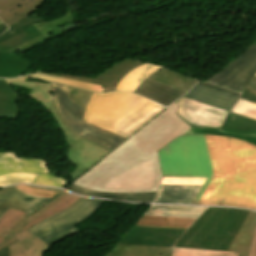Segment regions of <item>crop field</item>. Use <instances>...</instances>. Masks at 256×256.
<instances>
[{
    "instance_id": "730fd06b",
    "label": "crop field",
    "mask_w": 256,
    "mask_h": 256,
    "mask_svg": "<svg viewBox=\"0 0 256 256\" xmlns=\"http://www.w3.org/2000/svg\"><path fill=\"white\" fill-rule=\"evenodd\" d=\"M149 78L183 93L188 92L197 82V80L195 79L172 72L164 68H161L156 72L152 73Z\"/></svg>"
},
{
    "instance_id": "750c4746",
    "label": "crop field",
    "mask_w": 256,
    "mask_h": 256,
    "mask_svg": "<svg viewBox=\"0 0 256 256\" xmlns=\"http://www.w3.org/2000/svg\"><path fill=\"white\" fill-rule=\"evenodd\" d=\"M159 69V67L151 65H141L134 70L127 73L116 85L114 91L123 90L134 92L138 85L143 81L144 78L150 76V74Z\"/></svg>"
},
{
    "instance_id": "b80d0937",
    "label": "crop field",
    "mask_w": 256,
    "mask_h": 256,
    "mask_svg": "<svg viewBox=\"0 0 256 256\" xmlns=\"http://www.w3.org/2000/svg\"><path fill=\"white\" fill-rule=\"evenodd\" d=\"M34 174H12L0 176V187L16 183H31Z\"/></svg>"
},
{
    "instance_id": "dd49c442",
    "label": "crop field",
    "mask_w": 256,
    "mask_h": 256,
    "mask_svg": "<svg viewBox=\"0 0 256 256\" xmlns=\"http://www.w3.org/2000/svg\"><path fill=\"white\" fill-rule=\"evenodd\" d=\"M103 202L101 199L81 197L69 208L26 230L50 246L79 232L72 226L89 217Z\"/></svg>"
},
{
    "instance_id": "c035e120",
    "label": "crop field",
    "mask_w": 256,
    "mask_h": 256,
    "mask_svg": "<svg viewBox=\"0 0 256 256\" xmlns=\"http://www.w3.org/2000/svg\"><path fill=\"white\" fill-rule=\"evenodd\" d=\"M44 105L46 108H48L52 115L54 116V118L56 119L57 123L59 124V126L61 127L64 135H76V136H80L78 134H76L61 118L60 114L58 113L55 105H54V99H52L51 101L42 104Z\"/></svg>"
},
{
    "instance_id": "89e229c0",
    "label": "crop field",
    "mask_w": 256,
    "mask_h": 256,
    "mask_svg": "<svg viewBox=\"0 0 256 256\" xmlns=\"http://www.w3.org/2000/svg\"><path fill=\"white\" fill-rule=\"evenodd\" d=\"M27 78V76H23V77H21V78H18V79H9V80H7L8 82H12V81H20V80H24V79H26Z\"/></svg>"
},
{
    "instance_id": "0bd39190",
    "label": "crop field",
    "mask_w": 256,
    "mask_h": 256,
    "mask_svg": "<svg viewBox=\"0 0 256 256\" xmlns=\"http://www.w3.org/2000/svg\"><path fill=\"white\" fill-rule=\"evenodd\" d=\"M231 112L256 120V104L239 99Z\"/></svg>"
},
{
    "instance_id": "214f88e0",
    "label": "crop field",
    "mask_w": 256,
    "mask_h": 256,
    "mask_svg": "<svg viewBox=\"0 0 256 256\" xmlns=\"http://www.w3.org/2000/svg\"><path fill=\"white\" fill-rule=\"evenodd\" d=\"M141 64H143V63H139V62H135V61H131V60L127 59V60L105 70L104 72H102L101 74H99L98 76L93 77V78L61 75V74H48V73H42V72H37V73L48 74V75H53V76H58V77H64V78L99 84L105 88L104 92H109V91H113L115 85L127 72H129L130 70H132L133 68H135Z\"/></svg>"
},
{
    "instance_id": "412701ff",
    "label": "crop field",
    "mask_w": 256,
    "mask_h": 256,
    "mask_svg": "<svg viewBox=\"0 0 256 256\" xmlns=\"http://www.w3.org/2000/svg\"><path fill=\"white\" fill-rule=\"evenodd\" d=\"M163 177H208L193 204H198L212 178L209 154L204 135H182L157 152Z\"/></svg>"
},
{
    "instance_id": "4a817a6b",
    "label": "crop field",
    "mask_w": 256,
    "mask_h": 256,
    "mask_svg": "<svg viewBox=\"0 0 256 256\" xmlns=\"http://www.w3.org/2000/svg\"><path fill=\"white\" fill-rule=\"evenodd\" d=\"M240 94L199 82L185 97L230 111Z\"/></svg>"
},
{
    "instance_id": "5d738f31",
    "label": "crop field",
    "mask_w": 256,
    "mask_h": 256,
    "mask_svg": "<svg viewBox=\"0 0 256 256\" xmlns=\"http://www.w3.org/2000/svg\"><path fill=\"white\" fill-rule=\"evenodd\" d=\"M249 256H256V228L254 231L253 242H252Z\"/></svg>"
},
{
    "instance_id": "8a807250",
    "label": "crop field",
    "mask_w": 256,
    "mask_h": 256,
    "mask_svg": "<svg viewBox=\"0 0 256 256\" xmlns=\"http://www.w3.org/2000/svg\"><path fill=\"white\" fill-rule=\"evenodd\" d=\"M172 104L74 183L104 192L156 191L162 177L156 151L192 126Z\"/></svg>"
},
{
    "instance_id": "73cf0c24",
    "label": "crop field",
    "mask_w": 256,
    "mask_h": 256,
    "mask_svg": "<svg viewBox=\"0 0 256 256\" xmlns=\"http://www.w3.org/2000/svg\"><path fill=\"white\" fill-rule=\"evenodd\" d=\"M52 84H53V83H52ZM53 85L59 86V87H61V88L65 89V90H67V91H69V92H71V90H72V88H71V87H66V86L57 85V84H53Z\"/></svg>"
},
{
    "instance_id": "34b2d1b8",
    "label": "crop field",
    "mask_w": 256,
    "mask_h": 256,
    "mask_svg": "<svg viewBox=\"0 0 256 256\" xmlns=\"http://www.w3.org/2000/svg\"><path fill=\"white\" fill-rule=\"evenodd\" d=\"M79 198L63 191L27 218L25 212L9 209L0 218V249L18 239V242L9 246L10 256H44L49 246L25 229L69 207Z\"/></svg>"
},
{
    "instance_id": "22f410ed",
    "label": "crop field",
    "mask_w": 256,
    "mask_h": 256,
    "mask_svg": "<svg viewBox=\"0 0 256 256\" xmlns=\"http://www.w3.org/2000/svg\"><path fill=\"white\" fill-rule=\"evenodd\" d=\"M175 103L180 105L177 114L194 127L220 128L228 113L226 110L184 97Z\"/></svg>"
},
{
    "instance_id": "d32e631a",
    "label": "crop field",
    "mask_w": 256,
    "mask_h": 256,
    "mask_svg": "<svg viewBox=\"0 0 256 256\" xmlns=\"http://www.w3.org/2000/svg\"><path fill=\"white\" fill-rule=\"evenodd\" d=\"M40 35L37 29L33 26L26 31L0 43V50L8 51L36 36Z\"/></svg>"
},
{
    "instance_id": "028f5c9d",
    "label": "crop field",
    "mask_w": 256,
    "mask_h": 256,
    "mask_svg": "<svg viewBox=\"0 0 256 256\" xmlns=\"http://www.w3.org/2000/svg\"><path fill=\"white\" fill-rule=\"evenodd\" d=\"M29 75L40 78V79L53 81V82H57V83H61V84L72 85V86H76L79 88H83V89H87V90H91V91H95V92H99V93H102V91H103V88H101V86L93 85L90 83L79 82V81H74V80H69V79H63V78L42 75V74H37V73H33V74H29Z\"/></svg>"
},
{
    "instance_id": "25e5ab78",
    "label": "crop field",
    "mask_w": 256,
    "mask_h": 256,
    "mask_svg": "<svg viewBox=\"0 0 256 256\" xmlns=\"http://www.w3.org/2000/svg\"><path fill=\"white\" fill-rule=\"evenodd\" d=\"M17 241V240H16ZM15 242V241H14ZM0 256H9V249L8 246L4 249L0 250Z\"/></svg>"
},
{
    "instance_id": "b54c1fbb",
    "label": "crop field",
    "mask_w": 256,
    "mask_h": 256,
    "mask_svg": "<svg viewBox=\"0 0 256 256\" xmlns=\"http://www.w3.org/2000/svg\"><path fill=\"white\" fill-rule=\"evenodd\" d=\"M240 98L256 103V92L245 89Z\"/></svg>"
},
{
    "instance_id": "ac0d7876",
    "label": "crop field",
    "mask_w": 256,
    "mask_h": 256,
    "mask_svg": "<svg viewBox=\"0 0 256 256\" xmlns=\"http://www.w3.org/2000/svg\"><path fill=\"white\" fill-rule=\"evenodd\" d=\"M164 107L133 93H94L84 121L128 138Z\"/></svg>"
},
{
    "instance_id": "1f2cbd36",
    "label": "crop field",
    "mask_w": 256,
    "mask_h": 256,
    "mask_svg": "<svg viewBox=\"0 0 256 256\" xmlns=\"http://www.w3.org/2000/svg\"><path fill=\"white\" fill-rule=\"evenodd\" d=\"M7 29V27L5 26V25H3V26H1L0 27V33H2L4 30H6Z\"/></svg>"
},
{
    "instance_id": "03da06ac",
    "label": "crop field",
    "mask_w": 256,
    "mask_h": 256,
    "mask_svg": "<svg viewBox=\"0 0 256 256\" xmlns=\"http://www.w3.org/2000/svg\"><path fill=\"white\" fill-rule=\"evenodd\" d=\"M19 190L24 191L28 194L31 195H36V196H42V197H48L51 198L54 195H56V192H50V191H44V190H37V189H31L26 187L25 185H17L16 186Z\"/></svg>"
},
{
    "instance_id": "d9b57169",
    "label": "crop field",
    "mask_w": 256,
    "mask_h": 256,
    "mask_svg": "<svg viewBox=\"0 0 256 256\" xmlns=\"http://www.w3.org/2000/svg\"><path fill=\"white\" fill-rule=\"evenodd\" d=\"M190 133L229 136L256 145V121L230 112L220 129L192 127L185 134Z\"/></svg>"
},
{
    "instance_id": "0fb4a251",
    "label": "crop field",
    "mask_w": 256,
    "mask_h": 256,
    "mask_svg": "<svg viewBox=\"0 0 256 256\" xmlns=\"http://www.w3.org/2000/svg\"><path fill=\"white\" fill-rule=\"evenodd\" d=\"M255 44H256V41H255Z\"/></svg>"
},
{
    "instance_id": "733c2abd",
    "label": "crop field",
    "mask_w": 256,
    "mask_h": 256,
    "mask_svg": "<svg viewBox=\"0 0 256 256\" xmlns=\"http://www.w3.org/2000/svg\"><path fill=\"white\" fill-rule=\"evenodd\" d=\"M228 208L208 207L199 219L176 242L175 247L195 248Z\"/></svg>"
},
{
    "instance_id": "5866460e",
    "label": "crop field",
    "mask_w": 256,
    "mask_h": 256,
    "mask_svg": "<svg viewBox=\"0 0 256 256\" xmlns=\"http://www.w3.org/2000/svg\"><path fill=\"white\" fill-rule=\"evenodd\" d=\"M42 21H45L43 20L41 17H39L37 14H32L30 16H28L27 18L21 20L20 22L10 26L5 33H3L1 36H0V42L33 26L32 23H37V22H42Z\"/></svg>"
},
{
    "instance_id": "28ad6ade",
    "label": "crop field",
    "mask_w": 256,
    "mask_h": 256,
    "mask_svg": "<svg viewBox=\"0 0 256 256\" xmlns=\"http://www.w3.org/2000/svg\"><path fill=\"white\" fill-rule=\"evenodd\" d=\"M247 213V210L229 208L196 248L228 251Z\"/></svg>"
},
{
    "instance_id": "d1516ede",
    "label": "crop field",
    "mask_w": 256,
    "mask_h": 256,
    "mask_svg": "<svg viewBox=\"0 0 256 256\" xmlns=\"http://www.w3.org/2000/svg\"><path fill=\"white\" fill-rule=\"evenodd\" d=\"M206 178H163L153 203L192 204Z\"/></svg>"
},
{
    "instance_id": "00972430",
    "label": "crop field",
    "mask_w": 256,
    "mask_h": 256,
    "mask_svg": "<svg viewBox=\"0 0 256 256\" xmlns=\"http://www.w3.org/2000/svg\"><path fill=\"white\" fill-rule=\"evenodd\" d=\"M65 189L80 195L95 196L100 198L115 199L127 202H148L151 203L156 192H138V193H104L92 191L75 185H69Z\"/></svg>"
},
{
    "instance_id": "bd1437ed",
    "label": "crop field",
    "mask_w": 256,
    "mask_h": 256,
    "mask_svg": "<svg viewBox=\"0 0 256 256\" xmlns=\"http://www.w3.org/2000/svg\"><path fill=\"white\" fill-rule=\"evenodd\" d=\"M195 219L142 215L135 225L146 227L188 228Z\"/></svg>"
},
{
    "instance_id": "92a150f3",
    "label": "crop field",
    "mask_w": 256,
    "mask_h": 256,
    "mask_svg": "<svg viewBox=\"0 0 256 256\" xmlns=\"http://www.w3.org/2000/svg\"><path fill=\"white\" fill-rule=\"evenodd\" d=\"M43 2L44 0H0V19L9 26L32 14Z\"/></svg>"
},
{
    "instance_id": "5a996713",
    "label": "crop field",
    "mask_w": 256,
    "mask_h": 256,
    "mask_svg": "<svg viewBox=\"0 0 256 256\" xmlns=\"http://www.w3.org/2000/svg\"><path fill=\"white\" fill-rule=\"evenodd\" d=\"M236 58V57H235ZM256 72V45L252 44L236 59L205 82L242 92L247 81Z\"/></svg>"
},
{
    "instance_id": "120bbe31",
    "label": "crop field",
    "mask_w": 256,
    "mask_h": 256,
    "mask_svg": "<svg viewBox=\"0 0 256 256\" xmlns=\"http://www.w3.org/2000/svg\"><path fill=\"white\" fill-rule=\"evenodd\" d=\"M12 83L16 85H23V86L33 88L30 94V97L40 101L41 103H44L52 99L51 89L49 84L31 83V82H25V81L12 82Z\"/></svg>"
},
{
    "instance_id": "d8731c3e",
    "label": "crop field",
    "mask_w": 256,
    "mask_h": 256,
    "mask_svg": "<svg viewBox=\"0 0 256 256\" xmlns=\"http://www.w3.org/2000/svg\"><path fill=\"white\" fill-rule=\"evenodd\" d=\"M51 89L62 118L76 133L111 151L126 140L124 137L84 122L85 110L68 98L70 93L53 85H51Z\"/></svg>"
},
{
    "instance_id": "425ffa30",
    "label": "crop field",
    "mask_w": 256,
    "mask_h": 256,
    "mask_svg": "<svg viewBox=\"0 0 256 256\" xmlns=\"http://www.w3.org/2000/svg\"><path fill=\"white\" fill-rule=\"evenodd\" d=\"M27 186L32 187V188H37V189H44V190H50V191L60 192V189H55V188L38 187V186H30V185H27Z\"/></svg>"
},
{
    "instance_id": "d23c7cc5",
    "label": "crop field",
    "mask_w": 256,
    "mask_h": 256,
    "mask_svg": "<svg viewBox=\"0 0 256 256\" xmlns=\"http://www.w3.org/2000/svg\"><path fill=\"white\" fill-rule=\"evenodd\" d=\"M252 78H253V77H252ZM246 89H250V90L256 91V75H255L254 78L248 83V85L246 86Z\"/></svg>"
},
{
    "instance_id": "f4fd0767",
    "label": "crop field",
    "mask_w": 256,
    "mask_h": 256,
    "mask_svg": "<svg viewBox=\"0 0 256 256\" xmlns=\"http://www.w3.org/2000/svg\"><path fill=\"white\" fill-rule=\"evenodd\" d=\"M234 176L222 200L223 206L256 210V146L229 138Z\"/></svg>"
},
{
    "instance_id": "4177f3b9",
    "label": "crop field",
    "mask_w": 256,
    "mask_h": 256,
    "mask_svg": "<svg viewBox=\"0 0 256 256\" xmlns=\"http://www.w3.org/2000/svg\"><path fill=\"white\" fill-rule=\"evenodd\" d=\"M255 224L256 213L249 212L229 251L238 252V256H248Z\"/></svg>"
},
{
    "instance_id": "eef30255",
    "label": "crop field",
    "mask_w": 256,
    "mask_h": 256,
    "mask_svg": "<svg viewBox=\"0 0 256 256\" xmlns=\"http://www.w3.org/2000/svg\"><path fill=\"white\" fill-rule=\"evenodd\" d=\"M32 63L20 55L0 51V77H18Z\"/></svg>"
},
{
    "instance_id": "d3111659",
    "label": "crop field",
    "mask_w": 256,
    "mask_h": 256,
    "mask_svg": "<svg viewBox=\"0 0 256 256\" xmlns=\"http://www.w3.org/2000/svg\"><path fill=\"white\" fill-rule=\"evenodd\" d=\"M206 207L151 205L144 215L197 218Z\"/></svg>"
},
{
    "instance_id": "a9b5d70f",
    "label": "crop field",
    "mask_w": 256,
    "mask_h": 256,
    "mask_svg": "<svg viewBox=\"0 0 256 256\" xmlns=\"http://www.w3.org/2000/svg\"><path fill=\"white\" fill-rule=\"evenodd\" d=\"M68 22H74L70 5L68 6L67 13L64 16H62L56 20L34 24V26L38 29V31L42 35L22 44L8 52H14L17 50L26 52L30 48H33V47L47 41V39L44 36H47V35L53 33L51 31L52 29L63 26L65 24H67Z\"/></svg>"
},
{
    "instance_id": "e1f06a70",
    "label": "crop field",
    "mask_w": 256,
    "mask_h": 256,
    "mask_svg": "<svg viewBox=\"0 0 256 256\" xmlns=\"http://www.w3.org/2000/svg\"><path fill=\"white\" fill-rule=\"evenodd\" d=\"M172 256H237V253L173 248Z\"/></svg>"
},
{
    "instance_id": "c21b1889",
    "label": "crop field",
    "mask_w": 256,
    "mask_h": 256,
    "mask_svg": "<svg viewBox=\"0 0 256 256\" xmlns=\"http://www.w3.org/2000/svg\"><path fill=\"white\" fill-rule=\"evenodd\" d=\"M91 94V92L73 88L69 98L85 109Z\"/></svg>"
},
{
    "instance_id": "1d83c4d3",
    "label": "crop field",
    "mask_w": 256,
    "mask_h": 256,
    "mask_svg": "<svg viewBox=\"0 0 256 256\" xmlns=\"http://www.w3.org/2000/svg\"><path fill=\"white\" fill-rule=\"evenodd\" d=\"M8 84V83H7ZM4 80H0V118L16 119L17 97Z\"/></svg>"
},
{
    "instance_id": "cbeb9de0",
    "label": "crop field",
    "mask_w": 256,
    "mask_h": 256,
    "mask_svg": "<svg viewBox=\"0 0 256 256\" xmlns=\"http://www.w3.org/2000/svg\"><path fill=\"white\" fill-rule=\"evenodd\" d=\"M65 137L70 145L67 153L68 159L71 163L77 166L69 173L72 180L77 178L81 173L89 169L106 154L111 152L83 137Z\"/></svg>"
},
{
    "instance_id": "3316defc",
    "label": "crop field",
    "mask_w": 256,
    "mask_h": 256,
    "mask_svg": "<svg viewBox=\"0 0 256 256\" xmlns=\"http://www.w3.org/2000/svg\"><path fill=\"white\" fill-rule=\"evenodd\" d=\"M12 173H35L32 183L59 188L67 182L49 172L44 159L18 158L15 153H0V175Z\"/></svg>"
},
{
    "instance_id": "5142ce71",
    "label": "crop field",
    "mask_w": 256,
    "mask_h": 256,
    "mask_svg": "<svg viewBox=\"0 0 256 256\" xmlns=\"http://www.w3.org/2000/svg\"><path fill=\"white\" fill-rule=\"evenodd\" d=\"M186 229L146 228L133 226L118 243L143 246L172 247Z\"/></svg>"
},
{
    "instance_id": "dafd665d",
    "label": "crop field",
    "mask_w": 256,
    "mask_h": 256,
    "mask_svg": "<svg viewBox=\"0 0 256 256\" xmlns=\"http://www.w3.org/2000/svg\"><path fill=\"white\" fill-rule=\"evenodd\" d=\"M135 93L150 98L164 106H167L183 95L178 91H175L148 78L139 85Z\"/></svg>"
},
{
    "instance_id": "dbb93151",
    "label": "crop field",
    "mask_w": 256,
    "mask_h": 256,
    "mask_svg": "<svg viewBox=\"0 0 256 256\" xmlns=\"http://www.w3.org/2000/svg\"><path fill=\"white\" fill-rule=\"evenodd\" d=\"M0 25H3L2 21L0 20Z\"/></svg>"
},
{
    "instance_id": "bc2a9ffb",
    "label": "crop field",
    "mask_w": 256,
    "mask_h": 256,
    "mask_svg": "<svg viewBox=\"0 0 256 256\" xmlns=\"http://www.w3.org/2000/svg\"><path fill=\"white\" fill-rule=\"evenodd\" d=\"M47 200V198L25 194L15 186L0 189V217L9 208L26 211L28 215Z\"/></svg>"
},
{
    "instance_id": "ae1a2a85",
    "label": "crop field",
    "mask_w": 256,
    "mask_h": 256,
    "mask_svg": "<svg viewBox=\"0 0 256 256\" xmlns=\"http://www.w3.org/2000/svg\"><path fill=\"white\" fill-rule=\"evenodd\" d=\"M172 248L115 244L105 256H171Z\"/></svg>"
},
{
    "instance_id": "e52e79f7",
    "label": "crop field",
    "mask_w": 256,
    "mask_h": 256,
    "mask_svg": "<svg viewBox=\"0 0 256 256\" xmlns=\"http://www.w3.org/2000/svg\"><path fill=\"white\" fill-rule=\"evenodd\" d=\"M213 170V178L198 205H219L233 175L227 137L205 135Z\"/></svg>"
}]
</instances>
